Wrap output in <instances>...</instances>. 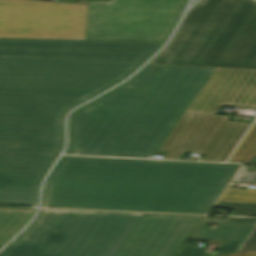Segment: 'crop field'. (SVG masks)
<instances>
[{
  "instance_id": "obj_1",
  "label": "crop field",
  "mask_w": 256,
  "mask_h": 256,
  "mask_svg": "<svg viewBox=\"0 0 256 256\" xmlns=\"http://www.w3.org/2000/svg\"><path fill=\"white\" fill-rule=\"evenodd\" d=\"M163 42L0 39V204L36 206L62 149V117L117 83Z\"/></svg>"
},
{
  "instance_id": "obj_2",
  "label": "crop field",
  "mask_w": 256,
  "mask_h": 256,
  "mask_svg": "<svg viewBox=\"0 0 256 256\" xmlns=\"http://www.w3.org/2000/svg\"><path fill=\"white\" fill-rule=\"evenodd\" d=\"M240 165L64 156L42 207L206 214Z\"/></svg>"
},
{
  "instance_id": "obj_3",
  "label": "crop field",
  "mask_w": 256,
  "mask_h": 256,
  "mask_svg": "<svg viewBox=\"0 0 256 256\" xmlns=\"http://www.w3.org/2000/svg\"><path fill=\"white\" fill-rule=\"evenodd\" d=\"M213 68L146 65L70 117L66 154L166 155L158 150Z\"/></svg>"
},
{
  "instance_id": "obj_4",
  "label": "crop field",
  "mask_w": 256,
  "mask_h": 256,
  "mask_svg": "<svg viewBox=\"0 0 256 256\" xmlns=\"http://www.w3.org/2000/svg\"><path fill=\"white\" fill-rule=\"evenodd\" d=\"M202 218L41 209L0 256H175Z\"/></svg>"
},
{
  "instance_id": "obj_5",
  "label": "crop field",
  "mask_w": 256,
  "mask_h": 256,
  "mask_svg": "<svg viewBox=\"0 0 256 256\" xmlns=\"http://www.w3.org/2000/svg\"><path fill=\"white\" fill-rule=\"evenodd\" d=\"M148 64L256 68V2L200 1Z\"/></svg>"
},
{
  "instance_id": "obj_6",
  "label": "crop field",
  "mask_w": 256,
  "mask_h": 256,
  "mask_svg": "<svg viewBox=\"0 0 256 256\" xmlns=\"http://www.w3.org/2000/svg\"><path fill=\"white\" fill-rule=\"evenodd\" d=\"M185 2L89 1L85 39L166 41Z\"/></svg>"
},
{
  "instance_id": "obj_7",
  "label": "crop field",
  "mask_w": 256,
  "mask_h": 256,
  "mask_svg": "<svg viewBox=\"0 0 256 256\" xmlns=\"http://www.w3.org/2000/svg\"><path fill=\"white\" fill-rule=\"evenodd\" d=\"M87 6L0 0V38L84 39Z\"/></svg>"
},
{
  "instance_id": "obj_8",
  "label": "crop field",
  "mask_w": 256,
  "mask_h": 256,
  "mask_svg": "<svg viewBox=\"0 0 256 256\" xmlns=\"http://www.w3.org/2000/svg\"><path fill=\"white\" fill-rule=\"evenodd\" d=\"M229 116L184 113L161 150L165 159H179L184 151L206 154L202 160L222 162L250 124L228 122Z\"/></svg>"
},
{
  "instance_id": "obj_9",
  "label": "crop field",
  "mask_w": 256,
  "mask_h": 256,
  "mask_svg": "<svg viewBox=\"0 0 256 256\" xmlns=\"http://www.w3.org/2000/svg\"><path fill=\"white\" fill-rule=\"evenodd\" d=\"M219 106L256 108V70L214 68L186 112L215 114Z\"/></svg>"
},
{
  "instance_id": "obj_10",
  "label": "crop field",
  "mask_w": 256,
  "mask_h": 256,
  "mask_svg": "<svg viewBox=\"0 0 256 256\" xmlns=\"http://www.w3.org/2000/svg\"><path fill=\"white\" fill-rule=\"evenodd\" d=\"M210 223H218L215 230L210 229ZM256 224L204 221L193 239L224 241L218 256L237 252L246 237Z\"/></svg>"
},
{
  "instance_id": "obj_11",
  "label": "crop field",
  "mask_w": 256,
  "mask_h": 256,
  "mask_svg": "<svg viewBox=\"0 0 256 256\" xmlns=\"http://www.w3.org/2000/svg\"><path fill=\"white\" fill-rule=\"evenodd\" d=\"M34 210L0 207V247L27 223Z\"/></svg>"
},
{
  "instance_id": "obj_12",
  "label": "crop field",
  "mask_w": 256,
  "mask_h": 256,
  "mask_svg": "<svg viewBox=\"0 0 256 256\" xmlns=\"http://www.w3.org/2000/svg\"><path fill=\"white\" fill-rule=\"evenodd\" d=\"M215 206L233 209L230 215L256 216V204L216 202ZM225 256H256V227L237 253Z\"/></svg>"
},
{
  "instance_id": "obj_13",
  "label": "crop field",
  "mask_w": 256,
  "mask_h": 256,
  "mask_svg": "<svg viewBox=\"0 0 256 256\" xmlns=\"http://www.w3.org/2000/svg\"><path fill=\"white\" fill-rule=\"evenodd\" d=\"M256 154V125H253L228 162L250 163Z\"/></svg>"
},
{
  "instance_id": "obj_14",
  "label": "crop field",
  "mask_w": 256,
  "mask_h": 256,
  "mask_svg": "<svg viewBox=\"0 0 256 256\" xmlns=\"http://www.w3.org/2000/svg\"><path fill=\"white\" fill-rule=\"evenodd\" d=\"M229 185L218 201L256 203V190L246 188L245 190L232 188Z\"/></svg>"
},
{
  "instance_id": "obj_15",
  "label": "crop field",
  "mask_w": 256,
  "mask_h": 256,
  "mask_svg": "<svg viewBox=\"0 0 256 256\" xmlns=\"http://www.w3.org/2000/svg\"><path fill=\"white\" fill-rule=\"evenodd\" d=\"M249 166H242L238 174L233 179V183H247V184H256V172L251 173L247 172Z\"/></svg>"
},
{
  "instance_id": "obj_16",
  "label": "crop field",
  "mask_w": 256,
  "mask_h": 256,
  "mask_svg": "<svg viewBox=\"0 0 256 256\" xmlns=\"http://www.w3.org/2000/svg\"><path fill=\"white\" fill-rule=\"evenodd\" d=\"M208 245L197 247L194 245L184 244L179 253L176 256H202Z\"/></svg>"
},
{
  "instance_id": "obj_17",
  "label": "crop field",
  "mask_w": 256,
  "mask_h": 256,
  "mask_svg": "<svg viewBox=\"0 0 256 256\" xmlns=\"http://www.w3.org/2000/svg\"><path fill=\"white\" fill-rule=\"evenodd\" d=\"M205 220L256 223V218H244V217H227L226 220H216V219H205Z\"/></svg>"
}]
</instances>
